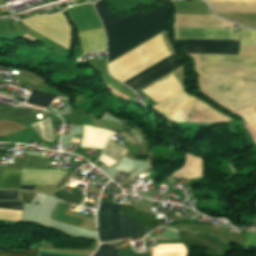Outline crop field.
Listing matches in <instances>:
<instances>
[{"label": "crop field", "mask_w": 256, "mask_h": 256, "mask_svg": "<svg viewBox=\"0 0 256 256\" xmlns=\"http://www.w3.org/2000/svg\"><path fill=\"white\" fill-rule=\"evenodd\" d=\"M196 65L256 68V45L240 46L238 55L189 54ZM188 55V56H189ZM190 56V57H191ZM196 66L203 92L234 111L256 100V69Z\"/></svg>", "instance_id": "1"}, {"label": "crop field", "mask_w": 256, "mask_h": 256, "mask_svg": "<svg viewBox=\"0 0 256 256\" xmlns=\"http://www.w3.org/2000/svg\"><path fill=\"white\" fill-rule=\"evenodd\" d=\"M95 8L109 43L108 61L166 29L169 11L165 4L145 15L137 11L122 19L109 11L105 0L96 2Z\"/></svg>", "instance_id": "2"}, {"label": "crop field", "mask_w": 256, "mask_h": 256, "mask_svg": "<svg viewBox=\"0 0 256 256\" xmlns=\"http://www.w3.org/2000/svg\"><path fill=\"white\" fill-rule=\"evenodd\" d=\"M118 204L101 202L98 211L99 233H108L120 231ZM126 216L148 229L156 226V215L136 211L133 206L121 205L120 210Z\"/></svg>", "instance_id": "3"}, {"label": "crop field", "mask_w": 256, "mask_h": 256, "mask_svg": "<svg viewBox=\"0 0 256 256\" xmlns=\"http://www.w3.org/2000/svg\"><path fill=\"white\" fill-rule=\"evenodd\" d=\"M23 23L58 44L66 48L69 47L70 29L62 13L51 17L33 18Z\"/></svg>", "instance_id": "4"}, {"label": "crop field", "mask_w": 256, "mask_h": 256, "mask_svg": "<svg viewBox=\"0 0 256 256\" xmlns=\"http://www.w3.org/2000/svg\"><path fill=\"white\" fill-rule=\"evenodd\" d=\"M181 65L179 63L178 58L175 55H172L169 58H167V59L163 60L162 62L158 63L157 65H155L153 67L151 66L152 68L149 67L150 69H148L146 71L144 70L145 72H143L141 74L139 73L140 75H138L136 77L134 76L135 78H133V77H132L133 79L130 78L131 80H129V81L127 80L128 82L125 81L126 82L125 84L136 91V90L142 88L143 86L151 83L152 81L158 79L159 77L165 75L166 73L174 70L175 68H177Z\"/></svg>", "instance_id": "5"}, {"label": "crop field", "mask_w": 256, "mask_h": 256, "mask_svg": "<svg viewBox=\"0 0 256 256\" xmlns=\"http://www.w3.org/2000/svg\"><path fill=\"white\" fill-rule=\"evenodd\" d=\"M184 45L183 53L236 54L239 41L176 40Z\"/></svg>", "instance_id": "6"}, {"label": "crop field", "mask_w": 256, "mask_h": 256, "mask_svg": "<svg viewBox=\"0 0 256 256\" xmlns=\"http://www.w3.org/2000/svg\"><path fill=\"white\" fill-rule=\"evenodd\" d=\"M232 28V27H223ZM176 39L239 40L233 29L174 28Z\"/></svg>", "instance_id": "7"}, {"label": "crop field", "mask_w": 256, "mask_h": 256, "mask_svg": "<svg viewBox=\"0 0 256 256\" xmlns=\"http://www.w3.org/2000/svg\"><path fill=\"white\" fill-rule=\"evenodd\" d=\"M230 118L214 111L201 101H195L186 121L200 123H216L221 121H229Z\"/></svg>", "instance_id": "8"}, {"label": "crop field", "mask_w": 256, "mask_h": 256, "mask_svg": "<svg viewBox=\"0 0 256 256\" xmlns=\"http://www.w3.org/2000/svg\"><path fill=\"white\" fill-rule=\"evenodd\" d=\"M174 27L221 28L215 15H175Z\"/></svg>", "instance_id": "9"}, {"label": "crop field", "mask_w": 256, "mask_h": 256, "mask_svg": "<svg viewBox=\"0 0 256 256\" xmlns=\"http://www.w3.org/2000/svg\"><path fill=\"white\" fill-rule=\"evenodd\" d=\"M113 134L115 133L109 130L84 126V137L81 148L103 149L107 139Z\"/></svg>", "instance_id": "10"}, {"label": "crop field", "mask_w": 256, "mask_h": 256, "mask_svg": "<svg viewBox=\"0 0 256 256\" xmlns=\"http://www.w3.org/2000/svg\"><path fill=\"white\" fill-rule=\"evenodd\" d=\"M85 53L106 51L103 28L79 33Z\"/></svg>", "instance_id": "11"}, {"label": "crop field", "mask_w": 256, "mask_h": 256, "mask_svg": "<svg viewBox=\"0 0 256 256\" xmlns=\"http://www.w3.org/2000/svg\"><path fill=\"white\" fill-rule=\"evenodd\" d=\"M171 176L186 179L202 177V159L187 154L185 165Z\"/></svg>", "instance_id": "12"}, {"label": "crop field", "mask_w": 256, "mask_h": 256, "mask_svg": "<svg viewBox=\"0 0 256 256\" xmlns=\"http://www.w3.org/2000/svg\"><path fill=\"white\" fill-rule=\"evenodd\" d=\"M121 232L99 235L100 241H109L138 235L136 223L120 213Z\"/></svg>", "instance_id": "13"}, {"label": "crop field", "mask_w": 256, "mask_h": 256, "mask_svg": "<svg viewBox=\"0 0 256 256\" xmlns=\"http://www.w3.org/2000/svg\"><path fill=\"white\" fill-rule=\"evenodd\" d=\"M210 4L215 9L216 12L256 13V3H210Z\"/></svg>", "instance_id": "14"}, {"label": "crop field", "mask_w": 256, "mask_h": 256, "mask_svg": "<svg viewBox=\"0 0 256 256\" xmlns=\"http://www.w3.org/2000/svg\"><path fill=\"white\" fill-rule=\"evenodd\" d=\"M195 98H187L170 110L163 113L170 121L184 122L190 106L193 104Z\"/></svg>", "instance_id": "15"}, {"label": "crop field", "mask_w": 256, "mask_h": 256, "mask_svg": "<svg viewBox=\"0 0 256 256\" xmlns=\"http://www.w3.org/2000/svg\"><path fill=\"white\" fill-rule=\"evenodd\" d=\"M21 169L4 167L2 189H18Z\"/></svg>", "instance_id": "16"}, {"label": "crop field", "mask_w": 256, "mask_h": 256, "mask_svg": "<svg viewBox=\"0 0 256 256\" xmlns=\"http://www.w3.org/2000/svg\"><path fill=\"white\" fill-rule=\"evenodd\" d=\"M183 245H157L153 247L152 256H186Z\"/></svg>", "instance_id": "17"}, {"label": "crop field", "mask_w": 256, "mask_h": 256, "mask_svg": "<svg viewBox=\"0 0 256 256\" xmlns=\"http://www.w3.org/2000/svg\"><path fill=\"white\" fill-rule=\"evenodd\" d=\"M255 106L256 102L245 106L235 112L244 118V120L249 124V126L256 134V111L254 109Z\"/></svg>", "instance_id": "18"}, {"label": "crop field", "mask_w": 256, "mask_h": 256, "mask_svg": "<svg viewBox=\"0 0 256 256\" xmlns=\"http://www.w3.org/2000/svg\"><path fill=\"white\" fill-rule=\"evenodd\" d=\"M34 130L41 136L44 141H52V131L49 118H46L42 121L36 122L31 125Z\"/></svg>", "instance_id": "19"}, {"label": "crop field", "mask_w": 256, "mask_h": 256, "mask_svg": "<svg viewBox=\"0 0 256 256\" xmlns=\"http://www.w3.org/2000/svg\"><path fill=\"white\" fill-rule=\"evenodd\" d=\"M55 97L56 95L33 90L27 102L46 107L55 99Z\"/></svg>", "instance_id": "20"}, {"label": "crop field", "mask_w": 256, "mask_h": 256, "mask_svg": "<svg viewBox=\"0 0 256 256\" xmlns=\"http://www.w3.org/2000/svg\"><path fill=\"white\" fill-rule=\"evenodd\" d=\"M126 152L127 150L124 147L110 139L103 153L118 162L122 155L125 156Z\"/></svg>", "instance_id": "21"}, {"label": "crop field", "mask_w": 256, "mask_h": 256, "mask_svg": "<svg viewBox=\"0 0 256 256\" xmlns=\"http://www.w3.org/2000/svg\"><path fill=\"white\" fill-rule=\"evenodd\" d=\"M0 250H10L0 245ZM0 256H36V248L24 251H0Z\"/></svg>", "instance_id": "22"}, {"label": "crop field", "mask_w": 256, "mask_h": 256, "mask_svg": "<svg viewBox=\"0 0 256 256\" xmlns=\"http://www.w3.org/2000/svg\"><path fill=\"white\" fill-rule=\"evenodd\" d=\"M256 44V32L241 27L240 45Z\"/></svg>", "instance_id": "23"}, {"label": "crop field", "mask_w": 256, "mask_h": 256, "mask_svg": "<svg viewBox=\"0 0 256 256\" xmlns=\"http://www.w3.org/2000/svg\"><path fill=\"white\" fill-rule=\"evenodd\" d=\"M93 256H117V251L107 244H102Z\"/></svg>", "instance_id": "24"}, {"label": "crop field", "mask_w": 256, "mask_h": 256, "mask_svg": "<svg viewBox=\"0 0 256 256\" xmlns=\"http://www.w3.org/2000/svg\"><path fill=\"white\" fill-rule=\"evenodd\" d=\"M0 200H20L18 196V190L0 191Z\"/></svg>", "instance_id": "25"}, {"label": "crop field", "mask_w": 256, "mask_h": 256, "mask_svg": "<svg viewBox=\"0 0 256 256\" xmlns=\"http://www.w3.org/2000/svg\"><path fill=\"white\" fill-rule=\"evenodd\" d=\"M0 208L22 210V202H0Z\"/></svg>", "instance_id": "26"}, {"label": "crop field", "mask_w": 256, "mask_h": 256, "mask_svg": "<svg viewBox=\"0 0 256 256\" xmlns=\"http://www.w3.org/2000/svg\"><path fill=\"white\" fill-rule=\"evenodd\" d=\"M246 243L255 244L256 245V233L247 232Z\"/></svg>", "instance_id": "27"}, {"label": "crop field", "mask_w": 256, "mask_h": 256, "mask_svg": "<svg viewBox=\"0 0 256 256\" xmlns=\"http://www.w3.org/2000/svg\"><path fill=\"white\" fill-rule=\"evenodd\" d=\"M101 160L102 162H104L108 167L117 163L115 161H113L112 159L108 158L107 156L105 155H102L101 158L99 159Z\"/></svg>", "instance_id": "28"}, {"label": "crop field", "mask_w": 256, "mask_h": 256, "mask_svg": "<svg viewBox=\"0 0 256 256\" xmlns=\"http://www.w3.org/2000/svg\"><path fill=\"white\" fill-rule=\"evenodd\" d=\"M129 148H130V152H131V155H132V156L142 154L139 145H137V146H131V147H129Z\"/></svg>", "instance_id": "29"}, {"label": "crop field", "mask_w": 256, "mask_h": 256, "mask_svg": "<svg viewBox=\"0 0 256 256\" xmlns=\"http://www.w3.org/2000/svg\"><path fill=\"white\" fill-rule=\"evenodd\" d=\"M245 129H246L247 132L250 134L253 143L256 144V135L254 134V132L248 127V125L245 126Z\"/></svg>", "instance_id": "30"}, {"label": "crop field", "mask_w": 256, "mask_h": 256, "mask_svg": "<svg viewBox=\"0 0 256 256\" xmlns=\"http://www.w3.org/2000/svg\"><path fill=\"white\" fill-rule=\"evenodd\" d=\"M39 256H67V255H60V254L39 251Z\"/></svg>", "instance_id": "31"}, {"label": "crop field", "mask_w": 256, "mask_h": 256, "mask_svg": "<svg viewBox=\"0 0 256 256\" xmlns=\"http://www.w3.org/2000/svg\"><path fill=\"white\" fill-rule=\"evenodd\" d=\"M34 186H28V185H21L20 189H29L32 190Z\"/></svg>", "instance_id": "32"}, {"label": "crop field", "mask_w": 256, "mask_h": 256, "mask_svg": "<svg viewBox=\"0 0 256 256\" xmlns=\"http://www.w3.org/2000/svg\"><path fill=\"white\" fill-rule=\"evenodd\" d=\"M65 172H66V171H65ZM64 175H65V174H64ZM64 175H63V176H64ZM62 178H63V177H62ZM62 178H61V179H62Z\"/></svg>", "instance_id": "33"}, {"label": "crop field", "mask_w": 256, "mask_h": 256, "mask_svg": "<svg viewBox=\"0 0 256 256\" xmlns=\"http://www.w3.org/2000/svg\"><path fill=\"white\" fill-rule=\"evenodd\" d=\"M5 1H7V0H5Z\"/></svg>", "instance_id": "34"}, {"label": "crop field", "mask_w": 256, "mask_h": 256, "mask_svg": "<svg viewBox=\"0 0 256 256\" xmlns=\"http://www.w3.org/2000/svg\"><path fill=\"white\" fill-rule=\"evenodd\" d=\"M131 144V143H130Z\"/></svg>", "instance_id": "35"}]
</instances>
